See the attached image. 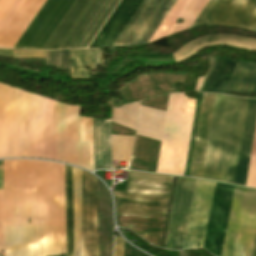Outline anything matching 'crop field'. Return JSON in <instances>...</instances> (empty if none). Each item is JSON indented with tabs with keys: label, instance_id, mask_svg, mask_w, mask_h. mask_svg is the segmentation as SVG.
<instances>
[{
	"label": "crop field",
	"instance_id": "crop-field-42",
	"mask_svg": "<svg viewBox=\"0 0 256 256\" xmlns=\"http://www.w3.org/2000/svg\"><path fill=\"white\" fill-rule=\"evenodd\" d=\"M0 169H2V166H0Z\"/></svg>",
	"mask_w": 256,
	"mask_h": 256
},
{
	"label": "crop field",
	"instance_id": "crop-field-41",
	"mask_svg": "<svg viewBox=\"0 0 256 256\" xmlns=\"http://www.w3.org/2000/svg\"><path fill=\"white\" fill-rule=\"evenodd\" d=\"M253 31H256V24L254 25V27L252 28Z\"/></svg>",
	"mask_w": 256,
	"mask_h": 256
},
{
	"label": "crop field",
	"instance_id": "crop-field-28",
	"mask_svg": "<svg viewBox=\"0 0 256 256\" xmlns=\"http://www.w3.org/2000/svg\"><path fill=\"white\" fill-rule=\"evenodd\" d=\"M236 61L218 58L204 92L223 93Z\"/></svg>",
	"mask_w": 256,
	"mask_h": 256
},
{
	"label": "crop field",
	"instance_id": "crop-field-12",
	"mask_svg": "<svg viewBox=\"0 0 256 256\" xmlns=\"http://www.w3.org/2000/svg\"><path fill=\"white\" fill-rule=\"evenodd\" d=\"M234 188L231 185H215L203 248L216 256H221Z\"/></svg>",
	"mask_w": 256,
	"mask_h": 256
},
{
	"label": "crop field",
	"instance_id": "crop-field-25",
	"mask_svg": "<svg viewBox=\"0 0 256 256\" xmlns=\"http://www.w3.org/2000/svg\"><path fill=\"white\" fill-rule=\"evenodd\" d=\"M225 91L256 93V64L237 61Z\"/></svg>",
	"mask_w": 256,
	"mask_h": 256
},
{
	"label": "crop field",
	"instance_id": "crop-field-9",
	"mask_svg": "<svg viewBox=\"0 0 256 256\" xmlns=\"http://www.w3.org/2000/svg\"><path fill=\"white\" fill-rule=\"evenodd\" d=\"M256 23V0H209L191 27L231 25L251 30Z\"/></svg>",
	"mask_w": 256,
	"mask_h": 256
},
{
	"label": "crop field",
	"instance_id": "crop-field-3",
	"mask_svg": "<svg viewBox=\"0 0 256 256\" xmlns=\"http://www.w3.org/2000/svg\"><path fill=\"white\" fill-rule=\"evenodd\" d=\"M173 179L129 172L125 192L113 191L117 224L159 247Z\"/></svg>",
	"mask_w": 256,
	"mask_h": 256
},
{
	"label": "crop field",
	"instance_id": "crop-field-2",
	"mask_svg": "<svg viewBox=\"0 0 256 256\" xmlns=\"http://www.w3.org/2000/svg\"><path fill=\"white\" fill-rule=\"evenodd\" d=\"M57 160L55 102L0 84V158Z\"/></svg>",
	"mask_w": 256,
	"mask_h": 256
},
{
	"label": "crop field",
	"instance_id": "crop-field-30",
	"mask_svg": "<svg viewBox=\"0 0 256 256\" xmlns=\"http://www.w3.org/2000/svg\"><path fill=\"white\" fill-rule=\"evenodd\" d=\"M75 256H82L80 170L73 167Z\"/></svg>",
	"mask_w": 256,
	"mask_h": 256
},
{
	"label": "crop field",
	"instance_id": "crop-field-17",
	"mask_svg": "<svg viewBox=\"0 0 256 256\" xmlns=\"http://www.w3.org/2000/svg\"><path fill=\"white\" fill-rule=\"evenodd\" d=\"M207 2L208 0H178L148 43L189 29ZM178 18L184 19V23L174 25Z\"/></svg>",
	"mask_w": 256,
	"mask_h": 256
},
{
	"label": "crop field",
	"instance_id": "crop-field-6",
	"mask_svg": "<svg viewBox=\"0 0 256 256\" xmlns=\"http://www.w3.org/2000/svg\"><path fill=\"white\" fill-rule=\"evenodd\" d=\"M168 95L142 101L141 106L166 112ZM141 107L137 132L157 139L162 138L166 113ZM136 135L129 169L155 172L161 141L141 134Z\"/></svg>",
	"mask_w": 256,
	"mask_h": 256
},
{
	"label": "crop field",
	"instance_id": "crop-field-29",
	"mask_svg": "<svg viewBox=\"0 0 256 256\" xmlns=\"http://www.w3.org/2000/svg\"><path fill=\"white\" fill-rule=\"evenodd\" d=\"M67 256H74L72 167L65 165Z\"/></svg>",
	"mask_w": 256,
	"mask_h": 256
},
{
	"label": "crop field",
	"instance_id": "crop-field-16",
	"mask_svg": "<svg viewBox=\"0 0 256 256\" xmlns=\"http://www.w3.org/2000/svg\"><path fill=\"white\" fill-rule=\"evenodd\" d=\"M214 182L198 180L183 249L202 248Z\"/></svg>",
	"mask_w": 256,
	"mask_h": 256
},
{
	"label": "crop field",
	"instance_id": "crop-field-37",
	"mask_svg": "<svg viewBox=\"0 0 256 256\" xmlns=\"http://www.w3.org/2000/svg\"><path fill=\"white\" fill-rule=\"evenodd\" d=\"M14 0H0V20L9 9Z\"/></svg>",
	"mask_w": 256,
	"mask_h": 256
},
{
	"label": "crop field",
	"instance_id": "crop-field-24",
	"mask_svg": "<svg viewBox=\"0 0 256 256\" xmlns=\"http://www.w3.org/2000/svg\"><path fill=\"white\" fill-rule=\"evenodd\" d=\"M92 0H76L42 49H59Z\"/></svg>",
	"mask_w": 256,
	"mask_h": 256
},
{
	"label": "crop field",
	"instance_id": "crop-field-7",
	"mask_svg": "<svg viewBox=\"0 0 256 256\" xmlns=\"http://www.w3.org/2000/svg\"><path fill=\"white\" fill-rule=\"evenodd\" d=\"M222 256H251L256 232V190L235 188Z\"/></svg>",
	"mask_w": 256,
	"mask_h": 256
},
{
	"label": "crop field",
	"instance_id": "crop-field-38",
	"mask_svg": "<svg viewBox=\"0 0 256 256\" xmlns=\"http://www.w3.org/2000/svg\"><path fill=\"white\" fill-rule=\"evenodd\" d=\"M0 55L7 56V57H13V51H1Z\"/></svg>",
	"mask_w": 256,
	"mask_h": 256
},
{
	"label": "crop field",
	"instance_id": "crop-field-27",
	"mask_svg": "<svg viewBox=\"0 0 256 256\" xmlns=\"http://www.w3.org/2000/svg\"><path fill=\"white\" fill-rule=\"evenodd\" d=\"M72 77H88L85 67L95 71V65H103L101 49L71 50Z\"/></svg>",
	"mask_w": 256,
	"mask_h": 256
},
{
	"label": "crop field",
	"instance_id": "crop-field-32",
	"mask_svg": "<svg viewBox=\"0 0 256 256\" xmlns=\"http://www.w3.org/2000/svg\"><path fill=\"white\" fill-rule=\"evenodd\" d=\"M134 137L111 135L112 159L128 161Z\"/></svg>",
	"mask_w": 256,
	"mask_h": 256
},
{
	"label": "crop field",
	"instance_id": "crop-field-13",
	"mask_svg": "<svg viewBox=\"0 0 256 256\" xmlns=\"http://www.w3.org/2000/svg\"><path fill=\"white\" fill-rule=\"evenodd\" d=\"M195 179H178L176 194L174 198L168 235L166 240V249H182L194 196Z\"/></svg>",
	"mask_w": 256,
	"mask_h": 256
},
{
	"label": "crop field",
	"instance_id": "crop-field-19",
	"mask_svg": "<svg viewBox=\"0 0 256 256\" xmlns=\"http://www.w3.org/2000/svg\"><path fill=\"white\" fill-rule=\"evenodd\" d=\"M143 0H122L90 47L112 46Z\"/></svg>",
	"mask_w": 256,
	"mask_h": 256
},
{
	"label": "crop field",
	"instance_id": "crop-field-21",
	"mask_svg": "<svg viewBox=\"0 0 256 256\" xmlns=\"http://www.w3.org/2000/svg\"><path fill=\"white\" fill-rule=\"evenodd\" d=\"M256 121V100L249 99L234 184L245 186Z\"/></svg>",
	"mask_w": 256,
	"mask_h": 256
},
{
	"label": "crop field",
	"instance_id": "crop-field-18",
	"mask_svg": "<svg viewBox=\"0 0 256 256\" xmlns=\"http://www.w3.org/2000/svg\"><path fill=\"white\" fill-rule=\"evenodd\" d=\"M215 95L203 94L190 174L201 178Z\"/></svg>",
	"mask_w": 256,
	"mask_h": 256
},
{
	"label": "crop field",
	"instance_id": "crop-field-10",
	"mask_svg": "<svg viewBox=\"0 0 256 256\" xmlns=\"http://www.w3.org/2000/svg\"><path fill=\"white\" fill-rule=\"evenodd\" d=\"M187 72H155L145 73L133 81L125 83L126 87L119 89L123 100H117L122 106L126 103L148 98L154 95L177 92V84H185ZM107 106H118L115 100L110 99Z\"/></svg>",
	"mask_w": 256,
	"mask_h": 256
},
{
	"label": "crop field",
	"instance_id": "crop-field-40",
	"mask_svg": "<svg viewBox=\"0 0 256 256\" xmlns=\"http://www.w3.org/2000/svg\"><path fill=\"white\" fill-rule=\"evenodd\" d=\"M252 256H256V237H255V242H254Z\"/></svg>",
	"mask_w": 256,
	"mask_h": 256
},
{
	"label": "crop field",
	"instance_id": "crop-field-4",
	"mask_svg": "<svg viewBox=\"0 0 256 256\" xmlns=\"http://www.w3.org/2000/svg\"><path fill=\"white\" fill-rule=\"evenodd\" d=\"M240 100L216 95L202 178L227 180Z\"/></svg>",
	"mask_w": 256,
	"mask_h": 256
},
{
	"label": "crop field",
	"instance_id": "crop-field-1",
	"mask_svg": "<svg viewBox=\"0 0 256 256\" xmlns=\"http://www.w3.org/2000/svg\"><path fill=\"white\" fill-rule=\"evenodd\" d=\"M5 227L65 228L64 165L8 160ZM5 228V256L66 254L65 229Z\"/></svg>",
	"mask_w": 256,
	"mask_h": 256
},
{
	"label": "crop field",
	"instance_id": "crop-field-36",
	"mask_svg": "<svg viewBox=\"0 0 256 256\" xmlns=\"http://www.w3.org/2000/svg\"><path fill=\"white\" fill-rule=\"evenodd\" d=\"M123 246L124 240L120 236L115 237L114 256H123Z\"/></svg>",
	"mask_w": 256,
	"mask_h": 256
},
{
	"label": "crop field",
	"instance_id": "crop-field-11",
	"mask_svg": "<svg viewBox=\"0 0 256 256\" xmlns=\"http://www.w3.org/2000/svg\"><path fill=\"white\" fill-rule=\"evenodd\" d=\"M75 0H47L14 48L41 49Z\"/></svg>",
	"mask_w": 256,
	"mask_h": 256
},
{
	"label": "crop field",
	"instance_id": "crop-field-23",
	"mask_svg": "<svg viewBox=\"0 0 256 256\" xmlns=\"http://www.w3.org/2000/svg\"><path fill=\"white\" fill-rule=\"evenodd\" d=\"M110 124L111 120L93 119L94 170L111 169Z\"/></svg>",
	"mask_w": 256,
	"mask_h": 256
},
{
	"label": "crop field",
	"instance_id": "crop-field-34",
	"mask_svg": "<svg viewBox=\"0 0 256 256\" xmlns=\"http://www.w3.org/2000/svg\"><path fill=\"white\" fill-rule=\"evenodd\" d=\"M16 58H45V51H14Z\"/></svg>",
	"mask_w": 256,
	"mask_h": 256
},
{
	"label": "crop field",
	"instance_id": "crop-field-33",
	"mask_svg": "<svg viewBox=\"0 0 256 256\" xmlns=\"http://www.w3.org/2000/svg\"><path fill=\"white\" fill-rule=\"evenodd\" d=\"M25 0H15L5 16L0 21V36L5 31L9 23L12 21L18 10L21 8Z\"/></svg>",
	"mask_w": 256,
	"mask_h": 256
},
{
	"label": "crop field",
	"instance_id": "crop-field-15",
	"mask_svg": "<svg viewBox=\"0 0 256 256\" xmlns=\"http://www.w3.org/2000/svg\"><path fill=\"white\" fill-rule=\"evenodd\" d=\"M119 0H93L60 49L86 48Z\"/></svg>",
	"mask_w": 256,
	"mask_h": 256
},
{
	"label": "crop field",
	"instance_id": "crop-field-39",
	"mask_svg": "<svg viewBox=\"0 0 256 256\" xmlns=\"http://www.w3.org/2000/svg\"><path fill=\"white\" fill-rule=\"evenodd\" d=\"M0 189H3V177H2V170H0Z\"/></svg>",
	"mask_w": 256,
	"mask_h": 256
},
{
	"label": "crop field",
	"instance_id": "crop-field-22",
	"mask_svg": "<svg viewBox=\"0 0 256 256\" xmlns=\"http://www.w3.org/2000/svg\"><path fill=\"white\" fill-rule=\"evenodd\" d=\"M45 0H26L0 38V48H13Z\"/></svg>",
	"mask_w": 256,
	"mask_h": 256
},
{
	"label": "crop field",
	"instance_id": "crop-field-31",
	"mask_svg": "<svg viewBox=\"0 0 256 256\" xmlns=\"http://www.w3.org/2000/svg\"><path fill=\"white\" fill-rule=\"evenodd\" d=\"M247 101H248V99H245V98H242V100H241L240 112H239V117H238L237 129H236V134H235L234 146H233L231 163H230L228 180H227V182L232 183V184L234 182V176H235L240 141H241V136H242L243 124H244V119H245Z\"/></svg>",
	"mask_w": 256,
	"mask_h": 256
},
{
	"label": "crop field",
	"instance_id": "crop-field-26",
	"mask_svg": "<svg viewBox=\"0 0 256 256\" xmlns=\"http://www.w3.org/2000/svg\"><path fill=\"white\" fill-rule=\"evenodd\" d=\"M140 101L113 108L112 121L135 130ZM112 122L111 134L134 136L135 131ZM113 125L115 126L113 128ZM122 129L124 131L122 132Z\"/></svg>",
	"mask_w": 256,
	"mask_h": 256
},
{
	"label": "crop field",
	"instance_id": "crop-field-8",
	"mask_svg": "<svg viewBox=\"0 0 256 256\" xmlns=\"http://www.w3.org/2000/svg\"><path fill=\"white\" fill-rule=\"evenodd\" d=\"M177 0H144L113 46L147 44Z\"/></svg>",
	"mask_w": 256,
	"mask_h": 256
},
{
	"label": "crop field",
	"instance_id": "crop-field-14",
	"mask_svg": "<svg viewBox=\"0 0 256 256\" xmlns=\"http://www.w3.org/2000/svg\"><path fill=\"white\" fill-rule=\"evenodd\" d=\"M83 256H98L97 178L81 170Z\"/></svg>",
	"mask_w": 256,
	"mask_h": 256
},
{
	"label": "crop field",
	"instance_id": "crop-field-20",
	"mask_svg": "<svg viewBox=\"0 0 256 256\" xmlns=\"http://www.w3.org/2000/svg\"><path fill=\"white\" fill-rule=\"evenodd\" d=\"M214 45H228L244 49L256 50V39L248 37H240L233 35H210L198 38L189 44L183 46L173 57L176 63H180L198 51Z\"/></svg>",
	"mask_w": 256,
	"mask_h": 256
},
{
	"label": "crop field",
	"instance_id": "crop-field-35",
	"mask_svg": "<svg viewBox=\"0 0 256 256\" xmlns=\"http://www.w3.org/2000/svg\"><path fill=\"white\" fill-rule=\"evenodd\" d=\"M1 250H4L3 190H0V251Z\"/></svg>",
	"mask_w": 256,
	"mask_h": 256
},
{
	"label": "crop field",
	"instance_id": "crop-field-5",
	"mask_svg": "<svg viewBox=\"0 0 256 256\" xmlns=\"http://www.w3.org/2000/svg\"><path fill=\"white\" fill-rule=\"evenodd\" d=\"M80 106L56 102L58 161L93 170L92 118Z\"/></svg>",
	"mask_w": 256,
	"mask_h": 256
}]
</instances>
